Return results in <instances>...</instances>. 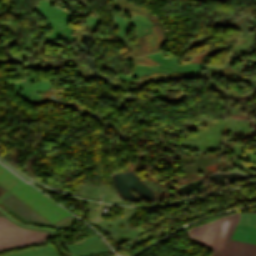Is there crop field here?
I'll use <instances>...</instances> for the list:
<instances>
[{"label": "crop field", "instance_id": "1", "mask_svg": "<svg viewBox=\"0 0 256 256\" xmlns=\"http://www.w3.org/2000/svg\"><path fill=\"white\" fill-rule=\"evenodd\" d=\"M238 212L190 229V239L210 248L212 256H256V245L230 240Z\"/></svg>", "mask_w": 256, "mask_h": 256}, {"label": "crop field", "instance_id": "2", "mask_svg": "<svg viewBox=\"0 0 256 256\" xmlns=\"http://www.w3.org/2000/svg\"><path fill=\"white\" fill-rule=\"evenodd\" d=\"M18 181L21 180L0 165V184L33 207L51 222L54 223L70 215L28 183L25 182L21 185Z\"/></svg>", "mask_w": 256, "mask_h": 256}, {"label": "crop field", "instance_id": "3", "mask_svg": "<svg viewBox=\"0 0 256 256\" xmlns=\"http://www.w3.org/2000/svg\"><path fill=\"white\" fill-rule=\"evenodd\" d=\"M49 236L51 235L48 233L19 228L4 217H0V250L37 243Z\"/></svg>", "mask_w": 256, "mask_h": 256}, {"label": "crop field", "instance_id": "4", "mask_svg": "<svg viewBox=\"0 0 256 256\" xmlns=\"http://www.w3.org/2000/svg\"><path fill=\"white\" fill-rule=\"evenodd\" d=\"M231 239L256 244V227L237 225Z\"/></svg>", "mask_w": 256, "mask_h": 256}]
</instances>
